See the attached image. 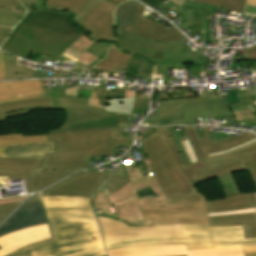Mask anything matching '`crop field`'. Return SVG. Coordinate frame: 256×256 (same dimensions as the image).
I'll return each instance as SVG.
<instances>
[{
	"label": "crop field",
	"instance_id": "crop-field-1",
	"mask_svg": "<svg viewBox=\"0 0 256 256\" xmlns=\"http://www.w3.org/2000/svg\"><path fill=\"white\" fill-rule=\"evenodd\" d=\"M53 238L32 243L12 254L31 256L105 255L90 198L42 197ZM10 254V255H12Z\"/></svg>",
	"mask_w": 256,
	"mask_h": 256
},
{
	"label": "crop field",
	"instance_id": "crop-field-2",
	"mask_svg": "<svg viewBox=\"0 0 256 256\" xmlns=\"http://www.w3.org/2000/svg\"><path fill=\"white\" fill-rule=\"evenodd\" d=\"M27 9L28 14L0 49L25 59L34 51L68 61L58 55L86 31L74 24L69 13Z\"/></svg>",
	"mask_w": 256,
	"mask_h": 256
},
{
	"label": "crop field",
	"instance_id": "crop-field-3",
	"mask_svg": "<svg viewBox=\"0 0 256 256\" xmlns=\"http://www.w3.org/2000/svg\"><path fill=\"white\" fill-rule=\"evenodd\" d=\"M133 137H122L118 128L49 134L48 141L55 140V154H46L39 170L91 166L89 157L113 155L117 145L129 148Z\"/></svg>",
	"mask_w": 256,
	"mask_h": 256
},
{
	"label": "crop field",
	"instance_id": "crop-field-4",
	"mask_svg": "<svg viewBox=\"0 0 256 256\" xmlns=\"http://www.w3.org/2000/svg\"><path fill=\"white\" fill-rule=\"evenodd\" d=\"M142 212L145 220L153 219L155 227H128L121 222L98 217L104 241L183 236L180 224L208 225L205 201L144 210Z\"/></svg>",
	"mask_w": 256,
	"mask_h": 256
},
{
	"label": "crop field",
	"instance_id": "crop-field-5",
	"mask_svg": "<svg viewBox=\"0 0 256 256\" xmlns=\"http://www.w3.org/2000/svg\"><path fill=\"white\" fill-rule=\"evenodd\" d=\"M184 237L132 239L105 243L106 249L186 244L187 250L242 245L244 253L256 252V238L244 239L242 226H185Z\"/></svg>",
	"mask_w": 256,
	"mask_h": 256
},
{
	"label": "crop field",
	"instance_id": "crop-field-6",
	"mask_svg": "<svg viewBox=\"0 0 256 256\" xmlns=\"http://www.w3.org/2000/svg\"><path fill=\"white\" fill-rule=\"evenodd\" d=\"M156 132L143 138L142 146L161 188L167 199L199 192L179 168L181 164L171 147L163 129L155 127Z\"/></svg>",
	"mask_w": 256,
	"mask_h": 256
},
{
	"label": "crop field",
	"instance_id": "crop-field-7",
	"mask_svg": "<svg viewBox=\"0 0 256 256\" xmlns=\"http://www.w3.org/2000/svg\"><path fill=\"white\" fill-rule=\"evenodd\" d=\"M148 98L111 99L107 100V105H104L81 97H54L52 98L54 107L67 108V116L60 128L46 133L67 129L71 124L113 116L108 111L140 115L148 108Z\"/></svg>",
	"mask_w": 256,
	"mask_h": 256
},
{
	"label": "crop field",
	"instance_id": "crop-field-8",
	"mask_svg": "<svg viewBox=\"0 0 256 256\" xmlns=\"http://www.w3.org/2000/svg\"><path fill=\"white\" fill-rule=\"evenodd\" d=\"M222 97L217 99L205 97L161 101L160 108L156 109V116L151 123L154 125L196 124V118L244 111L231 112L227 95Z\"/></svg>",
	"mask_w": 256,
	"mask_h": 256
},
{
	"label": "crop field",
	"instance_id": "crop-field-9",
	"mask_svg": "<svg viewBox=\"0 0 256 256\" xmlns=\"http://www.w3.org/2000/svg\"><path fill=\"white\" fill-rule=\"evenodd\" d=\"M203 128H204L206 139H201V141H199V142L191 143V146H192L199 162L186 165L178 148L176 147L171 135L169 134L167 128L163 127L172 147L174 148V150L183 166V167H181V169L183 170V172L188 176V178L192 182L196 181L197 184H199L208 179H212V178H215V177H218L221 175H225L228 173L248 170L245 163L243 162V163H240V164H237L234 166H230V167L200 176L198 169L206 167L204 160L208 158L207 154L230 149L232 147L240 145V144L256 137V135L245 132L237 137L226 140L224 142H222V140L210 142L207 126H203Z\"/></svg>",
	"mask_w": 256,
	"mask_h": 256
},
{
	"label": "crop field",
	"instance_id": "crop-field-10",
	"mask_svg": "<svg viewBox=\"0 0 256 256\" xmlns=\"http://www.w3.org/2000/svg\"><path fill=\"white\" fill-rule=\"evenodd\" d=\"M40 162L38 159L0 157V187L8 184L6 179H24L27 192L33 193L71 173L85 169L38 171Z\"/></svg>",
	"mask_w": 256,
	"mask_h": 256
},
{
	"label": "crop field",
	"instance_id": "crop-field-11",
	"mask_svg": "<svg viewBox=\"0 0 256 256\" xmlns=\"http://www.w3.org/2000/svg\"><path fill=\"white\" fill-rule=\"evenodd\" d=\"M111 172H94L89 170L71 176L41 192L42 196L63 195L92 197Z\"/></svg>",
	"mask_w": 256,
	"mask_h": 256
},
{
	"label": "crop field",
	"instance_id": "crop-field-12",
	"mask_svg": "<svg viewBox=\"0 0 256 256\" xmlns=\"http://www.w3.org/2000/svg\"><path fill=\"white\" fill-rule=\"evenodd\" d=\"M109 256H243L241 246L186 251L185 245L154 246L107 251Z\"/></svg>",
	"mask_w": 256,
	"mask_h": 256
},
{
	"label": "crop field",
	"instance_id": "crop-field-13",
	"mask_svg": "<svg viewBox=\"0 0 256 256\" xmlns=\"http://www.w3.org/2000/svg\"><path fill=\"white\" fill-rule=\"evenodd\" d=\"M144 38L124 31L109 50L108 56L94 66L95 69L113 72L115 67L125 69L133 54L143 57L145 49L139 48Z\"/></svg>",
	"mask_w": 256,
	"mask_h": 256
},
{
	"label": "crop field",
	"instance_id": "crop-field-14",
	"mask_svg": "<svg viewBox=\"0 0 256 256\" xmlns=\"http://www.w3.org/2000/svg\"><path fill=\"white\" fill-rule=\"evenodd\" d=\"M117 5L103 1L76 25L86 30L90 39L113 42V11Z\"/></svg>",
	"mask_w": 256,
	"mask_h": 256
},
{
	"label": "crop field",
	"instance_id": "crop-field-15",
	"mask_svg": "<svg viewBox=\"0 0 256 256\" xmlns=\"http://www.w3.org/2000/svg\"><path fill=\"white\" fill-rule=\"evenodd\" d=\"M41 224H47V222L40 194H37L26 201L0 226V236Z\"/></svg>",
	"mask_w": 256,
	"mask_h": 256
},
{
	"label": "crop field",
	"instance_id": "crop-field-16",
	"mask_svg": "<svg viewBox=\"0 0 256 256\" xmlns=\"http://www.w3.org/2000/svg\"><path fill=\"white\" fill-rule=\"evenodd\" d=\"M147 48L144 58L152 61L154 64L161 65L163 70V84L168 83V70L187 68L186 64H193V59H184L183 43L154 42L145 39L141 45ZM155 50H165L163 59H152Z\"/></svg>",
	"mask_w": 256,
	"mask_h": 256
},
{
	"label": "crop field",
	"instance_id": "crop-field-17",
	"mask_svg": "<svg viewBox=\"0 0 256 256\" xmlns=\"http://www.w3.org/2000/svg\"><path fill=\"white\" fill-rule=\"evenodd\" d=\"M145 6L139 4L133 26H129L126 31L155 41L183 42L182 33L175 27L166 31V27L153 23L142 15Z\"/></svg>",
	"mask_w": 256,
	"mask_h": 256
},
{
	"label": "crop field",
	"instance_id": "crop-field-18",
	"mask_svg": "<svg viewBox=\"0 0 256 256\" xmlns=\"http://www.w3.org/2000/svg\"><path fill=\"white\" fill-rule=\"evenodd\" d=\"M45 97L41 80L0 83V103Z\"/></svg>",
	"mask_w": 256,
	"mask_h": 256
},
{
	"label": "crop field",
	"instance_id": "crop-field-19",
	"mask_svg": "<svg viewBox=\"0 0 256 256\" xmlns=\"http://www.w3.org/2000/svg\"><path fill=\"white\" fill-rule=\"evenodd\" d=\"M50 237L47 225L37 226L0 237V246L3 248L0 250V256H5L32 242L44 240Z\"/></svg>",
	"mask_w": 256,
	"mask_h": 256
},
{
	"label": "crop field",
	"instance_id": "crop-field-20",
	"mask_svg": "<svg viewBox=\"0 0 256 256\" xmlns=\"http://www.w3.org/2000/svg\"><path fill=\"white\" fill-rule=\"evenodd\" d=\"M207 213L256 207L253 194H237L206 201Z\"/></svg>",
	"mask_w": 256,
	"mask_h": 256
},
{
	"label": "crop field",
	"instance_id": "crop-field-21",
	"mask_svg": "<svg viewBox=\"0 0 256 256\" xmlns=\"http://www.w3.org/2000/svg\"><path fill=\"white\" fill-rule=\"evenodd\" d=\"M45 153H54V141L5 147L4 157H29L42 159Z\"/></svg>",
	"mask_w": 256,
	"mask_h": 256
},
{
	"label": "crop field",
	"instance_id": "crop-field-22",
	"mask_svg": "<svg viewBox=\"0 0 256 256\" xmlns=\"http://www.w3.org/2000/svg\"><path fill=\"white\" fill-rule=\"evenodd\" d=\"M209 225H243L245 238L256 237V213L208 217Z\"/></svg>",
	"mask_w": 256,
	"mask_h": 256
},
{
	"label": "crop field",
	"instance_id": "crop-field-23",
	"mask_svg": "<svg viewBox=\"0 0 256 256\" xmlns=\"http://www.w3.org/2000/svg\"><path fill=\"white\" fill-rule=\"evenodd\" d=\"M26 10L18 0H0V26L14 28Z\"/></svg>",
	"mask_w": 256,
	"mask_h": 256
},
{
	"label": "crop field",
	"instance_id": "crop-field-24",
	"mask_svg": "<svg viewBox=\"0 0 256 256\" xmlns=\"http://www.w3.org/2000/svg\"><path fill=\"white\" fill-rule=\"evenodd\" d=\"M254 145H256V141L247 145V146H245V147H243V148H241V149L231 151V152H228V153H225V154H222V155L209 157V159L206 160V163H207L208 167L200 169L199 170L200 174L202 175V174H205V173H208V172H211V171H215V170H218V169H221V168L233 165V164L243 162L241 156L236 158L234 154L241 151V150H245L249 147H252Z\"/></svg>",
	"mask_w": 256,
	"mask_h": 256
},
{
	"label": "crop field",
	"instance_id": "crop-field-25",
	"mask_svg": "<svg viewBox=\"0 0 256 256\" xmlns=\"http://www.w3.org/2000/svg\"><path fill=\"white\" fill-rule=\"evenodd\" d=\"M137 1L131 0L122 3L115 12V29L116 34L123 32L130 24H133L136 9L138 6Z\"/></svg>",
	"mask_w": 256,
	"mask_h": 256
},
{
	"label": "crop field",
	"instance_id": "crop-field-26",
	"mask_svg": "<svg viewBox=\"0 0 256 256\" xmlns=\"http://www.w3.org/2000/svg\"><path fill=\"white\" fill-rule=\"evenodd\" d=\"M38 107H53L51 98H38L27 101L0 104V122L6 121L4 114Z\"/></svg>",
	"mask_w": 256,
	"mask_h": 256
},
{
	"label": "crop field",
	"instance_id": "crop-field-27",
	"mask_svg": "<svg viewBox=\"0 0 256 256\" xmlns=\"http://www.w3.org/2000/svg\"><path fill=\"white\" fill-rule=\"evenodd\" d=\"M90 0H46L45 9H52L56 12H69L72 16L79 11ZM124 2L127 0H109Z\"/></svg>",
	"mask_w": 256,
	"mask_h": 256
},
{
	"label": "crop field",
	"instance_id": "crop-field-28",
	"mask_svg": "<svg viewBox=\"0 0 256 256\" xmlns=\"http://www.w3.org/2000/svg\"><path fill=\"white\" fill-rule=\"evenodd\" d=\"M5 64L6 80L10 79H27L31 77V70L16 66L17 58L3 53Z\"/></svg>",
	"mask_w": 256,
	"mask_h": 256
},
{
	"label": "crop field",
	"instance_id": "crop-field-29",
	"mask_svg": "<svg viewBox=\"0 0 256 256\" xmlns=\"http://www.w3.org/2000/svg\"><path fill=\"white\" fill-rule=\"evenodd\" d=\"M47 141L46 134L24 137L22 133L0 136V156L3 157L4 146L30 142Z\"/></svg>",
	"mask_w": 256,
	"mask_h": 256
},
{
	"label": "crop field",
	"instance_id": "crop-field-30",
	"mask_svg": "<svg viewBox=\"0 0 256 256\" xmlns=\"http://www.w3.org/2000/svg\"><path fill=\"white\" fill-rule=\"evenodd\" d=\"M118 122H119V117L113 116V117H108L104 119L71 125L69 127H70V131L73 132L77 130L118 127Z\"/></svg>",
	"mask_w": 256,
	"mask_h": 256
},
{
	"label": "crop field",
	"instance_id": "crop-field-31",
	"mask_svg": "<svg viewBox=\"0 0 256 256\" xmlns=\"http://www.w3.org/2000/svg\"><path fill=\"white\" fill-rule=\"evenodd\" d=\"M128 182L129 180L124 171V168L122 164H120L119 167L114 171V173L109 177V179L104 184L111 192V194H113Z\"/></svg>",
	"mask_w": 256,
	"mask_h": 256
},
{
	"label": "crop field",
	"instance_id": "crop-field-32",
	"mask_svg": "<svg viewBox=\"0 0 256 256\" xmlns=\"http://www.w3.org/2000/svg\"><path fill=\"white\" fill-rule=\"evenodd\" d=\"M203 200H206V197L204 195H202L201 193H197V194H192V195H188V196H183V197H179V198L161 201L158 204L142 207L141 209L144 210V209L169 206V205H175V204H182V203H189V202H196V201H203Z\"/></svg>",
	"mask_w": 256,
	"mask_h": 256
},
{
	"label": "crop field",
	"instance_id": "crop-field-33",
	"mask_svg": "<svg viewBox=\"0 0 256 256\" xmlns=\"http://www.w3.org/2000/svg\"><path fill=\"white\" fill-rule=\"evenodd\" d=\"M236 157L241 155L243 160L246 162L249 172L253 178V181L256 185V146L249 148L245 151L235 154Z\"/></svg>",
	"mask_w": 256,
	"mask_h": 256
},
{
	"label": "crop field",
	"instance_id": "crop-field-34",
	"mask_svg": "<svg viewBox=\"0 0 256 256\" xmlns=\"http://www.w3.org/2000/svg\"><path fill=\"white\" fill-rule=\"evenodd\" d=\"M217 179L220 183V186L225 196H229L231 194H237L241 192L233 174L221 176V177H218Z\"/></svg>",
	"mask_w": 256,
	"mask_h": 256
},
{
	"label": "crop field",
	"instance_id": "crop-field-35",
	"mask_svg": "<svg viewBox=\"0 0 256 256\" xmlns=\"http://www.w3.org/2000/svg\"><path fill=\"white\" fill-rule=\"evenodd\" d=\"M205 3L214 4L216 6L237 12L242 13L244 0H195Z\"/></svg>",
	"mask_w": 256,
	"mask_h": 256
},
{
	"label": "crop field",
	"instance_id": "crop-field-36",
	"mask_svg": "<svg viewBox=\"0 0 256 256\" xmlns=\"http://www.w3.org/2000/svg\"><path fill=\"white\" fill-rule=\"evenodd\" d=\"M185 58H194V65H187L189 72L205 71L206 61H210L208 57L199 58V55H193L185 47ZM198 56V58H196Z\"/></svg>",
	"mask_w": 256,
	"mask_h": 256
},
{
	"label": "crop field",
	"instance_id": "crop-field-37",
	"mask_svg": "<svg viewBox=\"0 0 256 256\" xmlns=\"http://www.w3.org/2000/svg\"><path fill=\"white\" fill-rule=\"evenodd\" d=\"M238 95L240 97L239 98L240 103L230 105V109L254 105L251 97L256 96L255 92L241 93V94H238Z\"/></svg>",
	"mask_w": 256,
	"mask_h": 256
},
{
	"label": "crop field",
	"instance_id": "crop-field-38",
	"mask_svg": "<svg viewBox=\"0 0 256 256\" xmlns=\"http://www.w3.org/2000/svg\"><path fill=\"white\" fill-rule=\"evenodd\" d=\"M103 0H91L88 2L79 12H77L74 16V22H76L82 18L85 14H87L90 10H92L95 6H97Z\"/></svg>",
	"mask_w": 256,
	"mask_h": 256
},
{
	"label": "crop field",
	"instance_id": "crop-field-39",
	"mask_svg": "<svg viewBox=\"0 0 256 256\" xmlns=\"http://www.w3.org/2000/svg\"><path fill=\"white\" fill-rule=\"evenodd\" d=\"M167 128H168L170 134L172 135L173 139L175 140V142H176V144H177V146H178V148H179V150H180V152H181V154H182V156H183V158H184L186 164H189L190 161H189V159H188V157H187V155H186V153H185V151H184V148H183V146H182V143H181L179 137L177 136V134H176L174 128H173V127H167Z\"/></svg>",
	"mask_w": 256,
	"mask_h": 256
},
{
	"label": "crop field",
	"instance_id": "crop-field-40",
	"mask_svg": "<svg viewBox=\"0 0 256 256\" xmlns=\"http://www.w3.org/2000/svg\"><path fill=\"white\" fill-rule=\"evenodd\" d=\"M17 203H11V204H5L0 205V223L12 212V210L19 204Z\"/></svg>",
	"mask_w": 256,
	"mask_h": 256
},
{
	"label": "crop field",
	"instance_id": "crop-field-41",
	"mask_svg": "<svg viewBox=\"0 0 256 256\" xmlns=\"http://www.w3.org/2000/svg\"><path fill=\"white\" fill-rule=\"evenodd\" d=\"M189 142L199 141V136L195 126L182 127Z\"/></svg>",
	"mask_w": 256,
	"mask_h": 256
},
{
	"label": "crop field",
	"instance_id": "crop-field-42",
	"mask_svg": "<svg viewBox=\"0 0 256 256\" xmlns=\"http://www.w3.org/2000/svg\"><path fill=\"white\" fill-rule=\"evenodd\" d=\"M37 110H65V109H60V108H39V109H28L24 111H19L11 114H7L6 117L7 119L17 117V116H23V115H28L30 114L29 111H37Z\"/></svg>",
	"mask_w": 256,
	"mask_h": 256
},
{
	"label": "crop field",
	"instance_id": "crop-field-43",
	"mask_svg": "<svg viewBox=\"0 0 256 256\" xmlns=\"http://www.w3.org/2000/svg\"><path fill=\"white\" fill-rule=\"evenodd\" d=\"M192 32L201 33V14L193 13Z\"/></svg>",
	"mask_w": 256,
	"mask_h": 256
},
{
	"label": "crop field",
	"instance_id": "crop-field-44",
	"mask_svg": "<svg viewBox=\"0 0 256 256\" xmlns=\"http://www.w3.org/2000/svg\"><path fill=\"white\" fill-rule=\"evenodd\" d=\"M251 212H256V208L242 209V210H234V211H226V212H219V213H211V214H207V215H208V216H221V215L240 214V213H251Z\"/></svg>",
	"mask_w": 256,
	"mask_h": 256
},
{
	"label": "crop field",
	"instance_id": "crop-field-45",
	"mask_svg": "<svg viewBox=\"0 0 256 256\" xmlns=\"http://www.w3.org/2000/svg\"><path fill=\"white\" fill-rule=\"evenodd\" d=\"M234 115H235V118L237 121L253 119V118H255L254 115H256V109L245 111V112H240V113H235Z\"/></svg>",
	"mask_w": 256,
	"mask_h": 256
},
{
	"label": "crop field",
	"instance_id": "crop-field-46",
	"mask_svg": "<svg viewBox=\"0 0 256 256\" xmlns=\"http://www.w3.org/2000/svg\"><path fill=\"white\" fill-rule=\"evenodd\" d=\"M26 7L34 5V10L43 9L45 0H20Z\"/></svg>",
	"mask_w": 256,
	"mask_h": 256
},
{
	"label": "crop field",
	"instance_id": "crop-field-47",
	"mask_svg": "<svg viewBox=\"0 0 256 256\" xmlns=\"http://www.w3.org/2000/svg\"><path fill=\"white\" fill-rule=\"evenodd\" d=\"M181 141H182V143H183V146H184V148H185V150H186V152H187V154H188V156H189L191 162H192V163H193V162H197L198 160H197V158H196V156H195V154H194V152H193V150H192V148H191V146H190L188 140H187V139H184V140H181Z\"/></svg>",
	"mask_w": 256,
	"mask_h": 256
},
{
	"label": "crop field",
	"instance_id": "crop-field-48",
	"mask_svg": "<svg viewBox=\"0 0 256 256\" xmlns=\"http://www.w3.org/2000/svg\"><path fill=\"white\" fill-rule=\"evenodd\" d=\"M242 59L256 61V46L246 49Z\"/></svg>",
	"mask_w": 256,
	"mask_h": 256
},
{
	"label": "crop field",
	"instance_id": "crop-field-49",
	"mask_svg": "<svg viewBox=\"0 0 256 256\" xmlns=\"http://www.w3.org/2000/svg\"><path fill=\"white\" fill-rule=\"evenodd\" d=\"M12 29H7V28H1L0 27V45L3 43V41L6 39V37L8 36L9 32Z\"/></svg>",
	"mask_w": 256,
	"mask_h": 256
},
{
	"label": "crop field",
	"instance_id": "crop-field-50",
	"mask_svg": "<svg viewBox=\"0 0 256 256\" xmlns=\"http://www.w3.org/2000/svg\"><path fill=\"white\" fill-rule=\"evenodd\" d=\"M236 90H238V89H236ZM229 94H230V97H228L229 104L237 103L238 98H237L235 90H229Z\"/></svg>",
	"mask_w": 256,
	"mask_h": 256
},
{
	"label": "crop field",
	"instance_id": "crop-field-51",
	"mask_svg": "<svg viewBox=\"0 0 256 256\" xmlns=\"http://www.w3.org/2000/svg\"><path fill=\"white\" fill-rule=\"evenodd\" d=\"M0 80H5L4 64L2 60V53L0 52Z\"/></svg>",
	"mask_w": 256,
	"mask_h": 256
},
{
	"label": "crop field",
	"instance_id": "crop-field-52",
	"mask_svg": "<svg viewBox=\"0 0 256 256\" xmlns=\"http://www.w3.org/2000/svg\"><path fill=\"white\" fill-rule=\"evenodd\" d=\"M142 2H145V4L149 5L151 8L161 3L163 0H141Z\"/></svg>",
	"mask_w": 256,
	"mask_h": 256
},
{
	"label": "crop field",
	"instance_id": "crop-field-53",
	"mask_svg": "<svg viewBox=\"0 0 256 256\" xmlns=\"http://www.w3.org/2000/svg\"><path fill=\"white\" fill-rule=\"evenodd\" d=\"M173 3L170 4L169 6L172 7L173 9H179V7L182 5L184 0H171Z\"/></svg>",
	"mask_w": 256,
	"mask_h": 256
},
{
	"label": "crop field",
	"instance_id": "crop-field-54",
	"mask_svg": "<svg viewBox=\"0 0 256 256\" xmlns=\"http://www.w3.org/2000/svg\"><path fill=\"white\" fill-rule=\"evenodd\" d=\"M255 140H256V138H255V139H252V140H250V141H248V142H246V143H244V144H242V145H240V146H237V147H235V148H232V149H230V150H226V151H222V152L210 154L209 156L218 155V154H221V153H225V152H228V151H231V150L238 149V148H240V147H242V146H244V145H246V144H248V143H251V142H253V141H255Z\"/></svg>",
	"mask_w": 256,
	"mask_h": 256
},
{
	"label": "crop field",
	"instance_id": "crop-field-55",
	"mask_svg": "<svg viewBox=\"0 0 256 256\" xmlns=\"http://www.w3.org/2000/svg\"><path fill=\"white\" fill-rule=\"evenodd\" d=\"M163 51H156L153 58H162L163 57Z\"/></svg>",
	"mask_w": 256,
	"mask_h": 256
},
{
	"label": "crop field",
	"instance_id": "crop-field-56",
	"mask_svg": "<svg viewBox=\"0 0 256 256\" xmlns=\"http://www.w3.org/2000/svg\"><path fill=\"white\" fill-rule=\"evenodd\" d=\"M246 4L256 5V0H246Z\"/></svg>",
	"mask_w": 256,
	"mask_h": 256
},
{
	"label": "crop field",
	"instance_id": "crop-field-57",
	"mask_svg": "<svg viewBox=\"0 0 256 256\" xmlns=\"http://www.w3.org/2000/svg\"><path fill=\"white\" fill-rule=\"evenodd\" d=\"M244 256H256V253H248V254H244Z\"/></svg>",
	"mask_w": 256,
	"mask_h": 256
},
{
	"label": "crop field",
	"instance_id": "crop-field-58",
	"mask_svg": "<svg viewBox=\"0 0 256 256\" xmlns=\"http://www.w3.org/2000/svg\"><path fill=\"white\" fill-rule=\"evenodd\" d=\"M13 256H30V254H29V253H26V254L13 255Z\"/></svg>",
	"mask_w": 256,
	"mask_h": 256
},
{
	"label": "crop field",
	"instance_id": "crop-field-59",
	"mask_svg": "<svg viewBox=\"0 0 256 256\" xmlns=\"http://www.w3.org/2000/svg\"><path fill=\"white\" fill-rule=\"evenodd\" d=\"M254 198H255V203H256V193L254 194Z\"/></svg>",
	"mask_w": 256,
	"mask_h": 256
},
{
	"label": "crop field",
	"instance_id": "crop-field-60",
	"mask_svg": "<svg viewBox=\"0 0 256 256\" xmlns=\"http://www.w3.org/2000/svg\"><path fill=\"white\" fill-rule=\"evenodd\" d=\"M106 256V255H105Z\"/></svg>",
	"mask_w": 256,
	"mask_h": 256
}]
</instances>
